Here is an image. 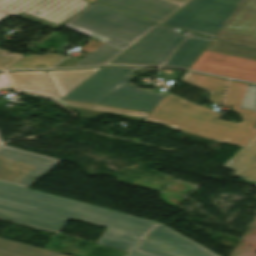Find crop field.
Instances as JSON below:
<instances>
[{"label": "crop field", "instance_id": "obj_19", "mask_svg": "<svg viewBox=\"0 0 256 256\" xmlns=\"http://www.w3.org/2000/svg\"><path fill=\"white\" fill-rule=\"evenodd\" d=\"M100 68L87 70L46 71L60 98L91 76Z\"/></svg>", "mask_w": 256, "mask_h": 256}, {"label": "crop field", "instance_id": "obj_10", "mask_svg": "<svg viewBox=\"0 0 256 256\" xmlns=\"http://www.w3.org/2000/svg\"><path fill=\"white\" fill-rule=\"evenodd\" d=\"M190 69L256 82V63L212 53L206 50L203 51Z\"/></svg>", "mask_w": 256, "mask_h": 256}, {"label": "crop field", "instance_id": "obj_22", "mask_svg": "<svg viewBox=\"0 0 256 256\" xmlns=\"http://www.w3.org/2000/svg\"><path fill=\"white\" fill-rule=\"evenodd\" d=\"M206 50L256 62V49L213 39Z\"/></svg>", "mask_w": 256, "mask_h": 256}, {"label": "crop field", "instance_id": "obj_14", "mask_svg": "<svg viewBox=\"0 0 256 256\" xmlns=\"http://www.w3.org/2000/svg\"><path fill=\"white\" fill-rule=\"evenodd\" d=\"M8 73L18 90L60 99L45 71Z\"/></svg>", "mask_w": 256, "mask_h": 256}, {"label": "crop field", "instance_id": "obj_9", "mask_svg": "<svg viewBox=\"0 0 256 256\" xmlns=\"http://www.w3.org/2000/svg\"><path fill=\"white\" fill-rule=\"evenodd\" d=\"M125 256H219L180 235L159 225L147 234Z\"/></svg>", "mask_w": 256, "mask_h": 256}, {"label": "crop field", "instance_id": "obj_31", "mask_svg": "<svg viewBox=\"0 0 256 256\" xmlns=\"http://www.w3.org/2000/svg\"><path fill=\"white\" fill-rule=\"evenodd\" d=\"M0 141H1V138H0ZM2 142V141H1Z\"/></svg>", "mask_w": 256, "mask_h": 256}, {"label": "crop field", "instance_id": "obj_28", "mask_svg": "<svg viewBox=\"0 0 256 256\" xmlns=\"http://www.w3.org/2000/svg\"><path fill=\"white\" fill-rule=\"evenodd\" d=\"M10 14L4 13L0 11V21L4 18H6L7 16H9Z\"/></svg>", "mask_w": 256, "mask_h": 256}, {"label": "crop field", "instance_id": "obj_27", "mask_svg": "<svg viewBox=\"0 0 256 256\" xmlns=\"http://www.w3.org/2000/svg\"><path fill=\"white\" fill-rule=\"evenodd\" d=\"M168 2L183 6L184 4H186L189 0H166Z\"/></svg>", "mask_w": 256, "mask_h": 256}, {"label": "crop field", "instance_id": "obj_17", "mask_svg": "<svg viewBox=\"0 0 256 256\" xmlns=\"http://www.w3.org/2000/svg\"><path fill=\"white\" fill-rule=\"evenodd\" d=\"M58 102L62 103L66 107L70 108L71 110L77 112L80 118H83V119H93V117L96 115L110 113V114L122 115L123 117L143 122L149 114L148 112L88 104V103L75 102V101H67L63 99H60Z\"/></svg>", "mask_w": 256, "mask_h": 256}, {"label": "crop field", "instance_id": "obj_13", "mask_svg": "<svg viewBox=\"0 0 256 256\" xmlns=\"http://www.w3.org/2000/svg\"><path fill=\"white\" fill-rule=\"evenodd\" d=\"M102 3L149 19L161 22L180 6L165 2L163 0H98Z\"/></svg>", "mask_w": 256, "mask_h": 256}, {"label": "crop field", "instance_id": "obj_21", "mask_svg": "<svg viewBox=\"0 0 256 256\" xmlns=\"http://www.w3.org/2000/svg\"><path fill=\"white\" fill-rule=\"evenodd\" d=\"M0 256H68L31 245L0 238Z\"/></svg>", "mask_w": 256, "mask_h": 256}, {"label": "crop field", "instance_id": "obj_8", "mask_svg": "<svg viewBox=\"0 0 256 256\" xmlns=\"http://www.w3.org/2000/svg\"><path fill=\"white\" fill-rule=\"evenodd\" d=\"M60 160L2 145L0 147V181L31 186Z\"/></svg>", "mask_w": 256, "mask_h": 256}, {"label": "crop field", "instance_id": "obj_30", "mask_svg": "<svg viewBox=\"0 0 256 256\" xmlns=\"http://www.w3.org/2000/svg\"><path fill=\"white\" fill-rule=\"evenodd\" d=\"M88 1L93 2L94 0H88Z\"/></svg>", "mask_w": 256, "mask_h": 256}, {"label": "crop field", "instance_id": "obj_5", "mask_svg": "<svg viewBox=\"0 0 256 256\" xmlns=\"http://www.w3.org/2000/svg\"><path fill=\"white\" fill-rule=\"evenodd\" d=\"M245 0H192L162 24L214 37Z\"/></svg>", "mask_w": 256, "mask_h": 256}, {"label": "crop field", "instance_id": "obj_12", "mask_svg": "<svg viewBox=\"0 0 256 256\" xmlns=\"http://www.w3.org/2000/svg\"><path fill=\"white\" fill-rule=\"evenodd\" d=\"M0 219L59 234L69 218L0 201Z\"/></svg>", "mask_w": 256, "mask_h": 256}, {"label": "crop field", "instance_id": "obj_4", "mask_svg": "<svg viewBox=\"0 0 256 256\" xmlns=\"http://www.w3.org/2000/svg\"><path fill=\"white\" fill-rule=\"evenodd\" d=\"M155 25L98 2L91 4L64 24L75 31L123 49Z\"/></svg>", "mask_w": 256, "mask_h": 256}, {"label": "crop field", "instance_id": "obj_1", "mask_svg": "<svg viewBox=\"0 0 256 256\" xmlns=\"http://www.w3.org/2000/svg\"><path fill=\"white\" fill-rule=\"evenodd\" d=\"M248 85L229 82L223 106L233 107L242 123L219 120L221 114L168 93L144 122L242 147L256 135V111L239 109Z\"/></svg>", "mask_w": 256, "mask_h": 256}, {"label": "crop field", "instance_id": "obj_7", "mask_svg": "<svg viewBox=\"0 0 256 256\" xmlns=\"http://www.w3.org/2000/svg\"><path fill=\"white\" fill-rule=\"evenodd\" d=\"M159 25L110 63L161 66L186 36Z\"/></svg>", "mask_w": 256, "mask_h": 256}, {"label": "crop field", "instance_id": "obj_32", "mask_svg": "<svg viewBox=\"0 0 256 256\" xmlns=\"http://www.w3.org/2000/svg\"><path fill=\"white\" fill-rule=\"evenodd\" d=\"M1 73V72H0Z\"/></svg>", "mask_w": 256, "mask_h": 256}, {"label": "crop field", "instance_id": "obj_6", "mask_svg": "<svg viewBox=\"0 0 256 256\" xmlns=\"http://www.w3.org/2000/svg\"><path fill=\"white\" fill-rule=\"evenodd\" d=\"M88 5L84 0H0L1 11L55 29Z\"/></svg>", "mask_w": 256, "mask_h": 256}, {"label": "crop field", "instance_id": "obj_18", "mask_svg": "<svg viewBox=\"0 0 256 256\" xmlns=\"http://www.w3.org/2000/svg\"><path fill=\"white\" fill-rule=\"evenodd\" d=\"M84 51L91 52L87 58L82 60L70 57L60 62L55 67H73L106 63L111 60L114 56L120 53L123 49L99 42L97 40L88 42L84 48ZM70 59V60H68Z\"/></svg>", "mask_w": 256, "mask_h": 256}, {"label": "crop field", "instance_id": "obj_15", "mask_svg": "<svg viewBox=\"0 0 256 256\" xmlns=\"http://www.w3.org/2000/svg\"><path fill=\"white\" fill-rule=\"evenodd\" d=\"M211 40L212 38H206L196 34L192 35V37L187 36L163 66L189 69Z\"/></svg>", "mask_w": 256, "mask_h": 256}, {"label": "crop field", "instance_id": "obj_24", "mask_svg": "<svg viewBox=\"0 0 256 256\" xmlns=\"http://www.w3.org/2000/svg\"><path fill=\"white\" fill-rule=\"evenodd\" d=\"M240 108L256 110V86H248Z\"/></svg>", "mask_w": 256, "mask_h": 256}, {"label": "crop field", "instance_id": "obj_2", "mask_svg": "<svg viewBox=\"0 0 256 256\" xmlns=\"http://www.w3.org/2000/svg\"><path fill=\"white\" fill-rule=\"evenodd\" d=\"M0 200L144 237L157 222L0 182Z\"/></svg>", "mask_w": 256, "mask_h": 256}, {"label": "crop field", "instance_id": "obj_26", "mask_svg": "<svg viewBox=\"0 0 256 256\" xmlns=\"http://www.w3.org/2000/svg\"><path fill=\"white\" fill-rule=\"evenodd\" d=\"M1 87L5 88V89L11 87L3 72L0 74V88Z\"/></svg>", "mask_w": 256, "mask_h": 256}, {"label": "crop field", "instance_id": "obj_20", "mask_svg": "<svg viewBox=\"0 0 256 256\" xmlns=\"http://www.w3.org/2000/svg\"><path fill=\"white\" fill-rule=\"evenodd\" d=\"M181 80L210 93L208 101L220 105L227 80L186 72Z\"/></svg>", "mask_w": 256, "mask_h": 256}, {"label": "crop field", "instance_id": "obj_23", "mask_svg": "<svg viewBox=\"0 0 256 256\" xmlns=\"http://www.w3.org/2000/svg\"><path fill=\"white\" fill-rule=\"evenodd\" d=\"M112 233H117L118 235H112ZM141 239L142 237L110 230L107 228L97 243L129 251Z\"/></svg>", "mask_w": 256, "mask_h": 256}, {"label": "crop field", "instance_id": "obj_16", "mask_svg": "<svg viewBox=\"0 0 256 256\" xmlns=\"http://www.w3.org/2000/svg\"><path fill=\"white\" fill-rule=\"evenodd\" d=\"M222 166L235 170V177L256 181V136Z\"/></svg>", "mask_w": 256, "mask_h": 256}, {"label": "crop field", "instance_id": "obj_11", "mask_svg": "<svg viewBox=\"0 0 256 256\" xmlns=\"http://www.w3.org/2000/svg\"><path fill=\"white\" fill-rule=\"evenodd\" d=\"M214 38L256 48V0H246Z\"/></svg>", "mask_w": 256, "mask_h": 256}, {"label": "crop field", "instance_id": "obj_3", "mask_svg": "<svg viewBox=\"0 0 256 256\" xmlns=\"http://www.w3.org/2000/svg\"><path fill=\"white\" fill-rule=\"evenodd\" d=\"M138 69L102 67L63 98L152 112L164 96L128 85Z\"/></svg>", "mask_w": 256, "mask_h": 256}, {"label": "crop field", "instance_id": "obj_29", "mask_svg": "<svg viewBox=\"0 0 256 256\" xmlns=\"http://www.w3.org/2000/svg\"><path fill=\"white\" fill-rule=\"evenodd\" d=\"M139 70L155 71L156 69H142V68H140Z\"/></svg>", "mask_w": 256, "mask_h": 256}, {"label": "crop field", "instance_id": "obj_25", "mask_svg": "<svg viewBox=\"0 0 256 256\" xmlns=\"http://www.w3.org/2000/svg\"><path fill=\"white\" fill-rule=\"evenodd\" d=\"M7 50L0 49V69H7L17 60H19L23 55L13 52L10 55H5Z\"/></svg>", "mask_w": 256, "mask_h": 256}]
</instances>
